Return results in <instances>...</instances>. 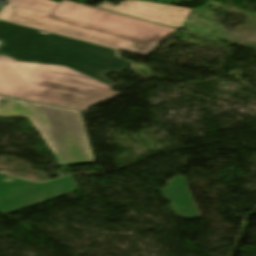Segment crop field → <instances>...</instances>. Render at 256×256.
I'll return each mask as SVG.
<instances>
[{"instance_id":"crop-field-2","label":"crop field","mask_w":256,"mask_h":256,"mask_svg":"<svg viewBox=\"0 0 256 256\" xmlns=\"http://www.w3.org/2000/svg\"><path fill=\"white\" fill-rule=\"evenodd\" d=\"M68 67L16 62L0 55V94L86 111L119 92Z\"/></svg>"},{"instance_id":"crop-field-1","label":"crop field","mask_w":256,"mask_h":256,"mask_svg":"<svg viewBox=\"0 0 256 256\" xmlns=\"http://www.w3.org/2000/svg\"><path fill=\"white\" fill-rule=\"evenodd\" d=\"M0 19L144 57L162 38L176 30L66 0L51 15L6 5Z\"/></svg>"},{"instance_id":"crop-field-10","label":"crop field","mask_w":256,"mask_h":256,"mask_svg":"<svg viewBox=\"0 0 256 256\" xmlns=\"http://www.w3.org/2000/svg\"><path fill=\"white\" fill-rule=\"evenodd\" d=\"M1 9V8H0Z\"/></svg>"},{"instance_id":"crop-field-8","label":"crop field","mask_w":256,"mask_h":256,"mask_svg":"<svg viewBox=\"0 0 256 256\" xmlns=\"http://www.w3.org/2000/svg\"><path fill=\"white\" fill-rule=\"evenodd\" d=\"M9 4L50 14L61 3L51 0H8Z\"/></svg>"},{"instance_id":"crop-field-3","label":"crop field","mask_w":256,"mask_h":256,"mask_svg":"<svg viewBox=\"0 0 256 256\" xmlns=\"http://www.w3.org/2000/svg\"><path fill=\"white\" fill-rule=\"evenodd\" d=\"M0 21V54L22 62L68 66L111 87L104 75L118 73L130 62L115 56L116 50Z\"/></svg>"},{"instance_id":"crop-field-7","label":"crop field","mask_w":256,"mask_h":256,"mask_svg":"<svg viewBox=\"0 0 256 256\" xmlns=\"http://www.w3.org/2000/svg\"><path fill=\"white\" fill-rule=\"evenodd\" d=\"M170 188L162 192L167 200H170L178 214L185 218H200L195 205L184 185L182 176L168 182Z\"/></svg>"},{"instance_id":"crop-field-4","label":"crop field","mask_w":256,"mask_h":256,"mask_svg":"<svg viewBox=\"0 0 256 256\" xmlns=\"http://www.w3.org/2000/svg\"><path fill=\"white\" fill-rule=\"evenodd\" d=\"M7 116L28 118L59 165L93 163L80 111L13 99L0 108V117Z\"/></svg>"},{"instance_id":"crop-field-5","label":"crop field","mask_w":256,"mask_h":256,"mask_svg":"<svg viewBox=\"0 0 256 256\" xmlns=\"http://www.w3.org/2000/svg\"><path fill=\"white\" fill-rule=\"evenodd\" d=\"M7 177L0 173V214L13 211L75 191L70 177L46 183H34L17 179L4 182Z\"/></svg>"},{"instance_id":"crop-field-9","label":"crop field","mask_w":256,"mask_h":256,"mask_svg":"<svg viewBox=\"0 0 256 256\" xmlns=\"http://www.w3.org/2000/svg\"><path fill=\"white\" fill-rule=\"evenodd\" d=\"M0 98H7V99H11V98H9V97H3V96H0Z\"/></svg>"},{"instance_id":"crop-field-6","label":"crop field","mask_w":256,"mask_h":256,"mask_svg":"<svg viewBox=\"0 0 256 256\" xmlns=\"http://www.w3.org/2000/svg\"><path fill=\"white\" fill-rule=\"evenodd\" d=\"M98 8L176 29H179L184 25L192 10L189 8L134 0H128L120 3L116 7L100 4L98 5Z\"/></svg>"}]
</instances>
